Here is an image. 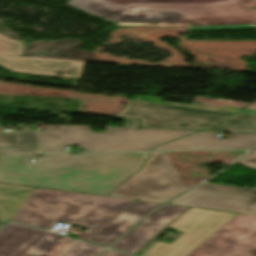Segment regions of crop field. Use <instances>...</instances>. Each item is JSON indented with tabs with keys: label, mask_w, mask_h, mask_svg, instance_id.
Here are the masks:
<instances>
[{
	"label": "crop field",
	"mask_w": 256,
	"mask_h": 256,
	"mask_svg": "<svg viewBox=\"0 0 256 256\" xmlns=\"http://www.w3.org/2000/svg\"><path fill=\"white\" fill-rule=\"evenodd\" d=\"M114 26L190 30L256 28V0H70Z\"/></svg>",
	"instance_id": "8a807250"
},
{
	"label": "crop field",
	"mask_w": 256,
	"mask_h": 256,
	"mask_svg": "<svg viewBox=\"0 0 256 256\" xmlns=\"http://www.w3.org/2000/svg\"><path fill=\"white\" fill-rule=\"evenodd\" d=\"M148 154L39 153L36 163H28L26 158L34 157L36 153H2L0 171L118 185L139 170Z\"/></svg>",
	"instance_id": "ac0d7876"
},
{
	"label": "crop field",
	"mask_w": 256,
	"mask_h": 256,
	"mask_svg": "<svg viewBox=\"0 0 256 256\" xmlns=\"http://www.w3.org/2000/svg\"><path fill=\"white\" fill-rule=\"evenodd\" d=\"M134 200L78 194L35 188L11 220L40 228H50L58 221L84 227L88 241L126 210Z\"/></svg>",
	"instance_id": "34b2d1b8"
},
{
	"label": "crop field",
	"mask_w": 256,
	"mask_h": 256,
	"mask_svg": "<svg viewBox=\"0 0 256 256\" xmlns=\"http://www.w3.org/2000/svg\"><path fill=\"white\" fill-rule=\"evenodd\" d=\"M78 240L10 222L0 230V256H61ZM105 248L79 242L65 256H97Z\"/></svg>",
	"instance_id": "412701ff"
},
{
	"label": "crop field",
	"mask_w": 256,
	"mask_h": 256,
	"mask_svg": "<svg viewBox=\"0 0 256 256\" xmlns=\"http://www.w3.org/2000/svg\"><path fill=\"white\" fill-rule=\"evenodd\" d=\"M233 114L130 100L114 117L141 119L140 128L200 131Z\"/></svg>",
	"instance_id": "f4fd0767"
},
{
	"label": "crop field",
	"mask_w": 256,
	"mask_h": 256,
	"mask_svg": "<svg viewBox=\"0 0 256 256\" xmlns=\"http://www.w3.org/2000/svg\"><path fill=\"white\" fill-rule=\"evenodd\" d=\"M234 215L188 208L167 226L184 233L170 244L159 242L142 256H187Z\"/></svg>",
	"instance_id": "dd49c442"
},
{
	"label": "crop field",
	"mask_w": 256,
	"mask_h": 256,
	"mask_svg": "<svg viewBox=\"0 0 256 256\" xmlns=\"http://www.w3.org/2000/svg\"><path fill=\"white\" fill-rule=\"evenodd\" d=\"M250 191L204 183L169 204L256 214V196Z\"/></svg>",
	"instance_id": "e52e79f7"
},
{
	"label": "crop field",
	"mask_w": 256,
	"mask_h": 256,
	"mask_svg": "<svg viewBox=\"0 0 256 256\" xmlns=\"http://www.w3.org/2000/svg\"><path fill=\"white\" fill-rule=\"evenodd\" d=\"M191 131L107 127V145H82L89 151L151 150L161 143L191 134Z\"/></svg>",
	"instance_id": "d8731c3e"
},
{
	"label": "crop field",
	"mask_w": 256,
	"mask_h": 256,
	"mask_svg": "<svg viewBox=\"0 0 256 256\" xmlns=\"http://www.w3.org/2000/svg\"><path fill=\"white\" fill-rule=\"evenodd\" d=\"M166 153L152 152L144 167L121 185L177 193L189 189L181 184L179 174L171 166Z\"/></svg>",
	"instance_id": "5a996713"
},
{
	"label": "crop field",
	"mask_w": 256,
	"mask_h": 256,
	"mask_svg": "<svg viewBox=\"0 0 256 256\" xmlns=\"http://www.w3.org/2000/svg\"><path fill=\"white\" fill-rule=\"evenodd\" d=\"M85 62L1 56L0 66L18 73L80 79Z\"/></svg>",
	"instance_id": "3316defc"
},
{
	"label": "crop field",
	"mask_w": 256,
	"mask_h": 256,
	"mask_svg": "<svg viewBox=\"0 0 256 256\" xmlns=\"http://www.w3.org/2000/svg\"><path fill=\"white\" fill-rule=\"evenodd\" d=\"M186 209V207L163 206L130 231L112 248L134 254Z\"/></svg>",
	"instance_id": "28ad6ade"
},
{
	"label": "crop field",
	"mask_w": 256,
	"mask_h": 256,
	"mask_svg": "<svg viewBox=\"0 0 256 256\" xmlns=\"http://www.w3.org/2000/svg\"><path fill=\"white\" fill-rule=\"evenodd\" d=\"M255 143L256 135L231 134L228 139H216L215 133L199 132L154 150L249 149Z\"/></svg>",
	"instance_id": "d1516ede"
},
{
	"label": "crop field",
	"mask_w": 256,
	"mask_h": 256,
	"mask_svg": "<svg viewBox=\"0 0 256 256\" xmlns=\"http://www.w3.org/2000/svg\"><path fill=\"white\" fill-rule=\"evenodd\" d=\"M0 182L25 186L106 195L113 185L0 172Z\"/></svg>",
	"instance_id": "22f410ed"
},
{
	"label": "crop field",
	"mask_w": 256,
	"mask_h": 256,
	"mask_svg": "<svg viewBox=\"0 0 256 256\" xmlns=\"http://www.w3.org/2000/svg\"><path fill=\"white\" fill-rule=\"evenodd\" d=\"M41 146L107 144L106 133L94 134L89 126L55 125L40 130Z\"/></svg>",
	"instance_id": "cbeb9de0"
},
{
	"label": "crop field",
	"mask_w": 256,
	"mask_h": 256,
	"mask_svg": "<svg viewBox=\"0 0 256 256\" xmlns=\"http://www.w3.org/2000/svg\"><path fill=\"white\" fill-rule=\"evenodd\" d=\"M159 206L158 203L151 202H134L124 213L104 228L89 242L108 246L117 240L122 234L130 229L142 216L150 212L155 207Z\"/></svg>",
	"instance_id": "5142ce71"
},
{
	"label": "crop field",
	"mask_w": 256,
	"mask_h": 256,
	"mask_svg": "<svg viewBox=\"0 0 256 256\" xmlns=\"http://www.w3.org/2000/svg\"><path fill=\"white\" fill-rule=\"evenodd\" d=\"M209 238L256 247V216L236 214Z\"/></svg>",
	"instance_id": "d9b57169"
},
{
	"label": "crop field",
	"mask_w": 256,
	"mask_h": 256,
	"mask_svg": "<svg viewBox=\"0 0 256 256\" xmlns=\"http://www.w3.org/2000/svg\"><path fill=\"white\" fill-rule=\"evenodd\" d=\"M34 188L0 184V221H8Z\"/></svg>",
	"instance_id": "733c2abd"
},
{
	"label": "crop field",
	"mask_w": 256,
	"mask_h": 256,
	"mask_svg": "<svg viewBox=\"0 0 256 256\" xmlns=\"http://www.w3.org/2000/svg\"><path fill=\"white\" fill-rule=\"evenodd\" d=\"M188 256H256V248L207 239Z\"/></svg>",
	"instance_id": "4a817a6b"
},
{
	"label": "crop field",
	"mask_w": 256,
	"mask_h": 256,
	"mask_svg": "<svg viewBox=\"0 0 256 256\" xmlns=\"http://www.w3.org/2000/svg\"><path fill=\"white\" fill-rule=\"evenodd\" d=\"M109 195L115 196V197H121V198L134 199V200L163 203L166 200H168L178 194L119 186L117 189H115Z\"/></svg>",
	"instance_id": "bc2a9ffb"
},
{
	"label": "crop field",
	"mask_w": 256,
	"mask_h": 256,
	"mask_svg": "<svg viewBox=\"0 0 256 256\" xmlns=\"http://www.w3.org/2000/svg\"><path fill=\"white\" fill-rule=\"evenodd\" d=\"M205 131L256 134V116L236 114L222 124Z\"/></svg>",
	"instance_id": "214f88e0"
},
{
	"label": "crop field",
	"mask_w": 256,
	"mask_h": 256,
	"mask_svg": "<svg viewBox=\"0 0 256 256\" xmlns=\"http://www.w3.org/2000/svg\"><path fill=\"white\" fill-rule=\"evenodd\" d=\"M37 146V131L0 134V147Z\"/></svg>",
	"instance_id": "92a150f3"
},
{
	"label": "crop field",
	"mask_w": 256,
	"mask_h": 256,
	"mask_svg": "<svg viewBox=\"0 0 256 256\" xmlns=\"http://www.w3.org/2000/svg\"><path fill=\"white\" fill-rule=\"evenodd\" d=\"M25 41L10 40L0 35V54L20 56Z\"/></svg>",
	"instance_id": "dafd665d"
},
{
	"label": "crop field",
	"mask_w": 256,
	"mask_h": 256,
	"mask_svg": "<svg viewBox=\"0 0 256 256\" xmlns=\"http://www.w3.org/2000/svg\"><path fill=\"white\" fill-rule=\"evenodd\" d=\"M193 102L243 108L250 102L194 96Z\"/></svg>",
	"instance_id": "00972430"
},
{
	"label": "crop field",
	"mask_w": 256,
	"mask_h": 256,
	"mask_svg": "<svg viewBox=\"0 0 256 256\" xmlns=\"http://www.w3.org/2000/svg\"><path fill=\"white\" fill-rule=\"evenodd\" d=\"M238 164L256 168V148L243 157Z\"/></svg>",
	"instance_id": "a9b5d70f"
},
{
	"label": "crop field",
	"mask_w": 256,
	"mask_h": 256,
	"mask_svg": "<svg viewBox=\"0 0 256 256\" xmlns=\"http://www.w3.org/2000/svg\"><path fill=\"white\" fill-rule=\"evenodd\" d=\"M3 152H25V151H37V147H24V148H0Z\"/></svg>",
	"instance_id": "4177f3b9"
},
{
	"label": "crop field",
	"mask_w": 256,
	"mask_h": 256,
	"mask_svg": "<svg viewBox=\"0 0 256 256\" xmlns=\"http://www.w3.org/2000/svg\"><path fill=\"white\" fill-rule=\"evenodd\" d=\"M157 240L152 239L150 242H148L144 247H142L138 252L135 253V255L140 256L143 252H145L149 247H151Z\"/></svg>",
	"instance_id": "730fd06b"
},
{
	"label": "crop field",
	"mask_w": 256,
	"mask_h": 256,
	"mask_svg": "<svg viewBox=\"0 0 256 256\" xmlns=\"http://www.w3.org/2000/svg\"><path fill=\"white\" fill-rule=\"evenodd\" d=\"M66 146L41 147V151H64Z\"/></svg>",
	"instance_id": "eef30255"
},
{
	"label": "crop field",
	"mask_w": 256,
	"mask_h": 256,
	"mask_svg": "<svg viewBox=\"0 0 256 256\" xmlns=\"http://www.w3.org/2000/svg\"><path fill=\"white\" fill-rule=\"evenodd\" d=\"M102 256H129L115 251H107Z\"/></svg>",
	"instance_id": "ae1a2a85"
},
{
	"label": "crop field",
	"mask_w": 256,
	"mask_h": 256,
	"mask_svg": "<svg viewBox=\"0 0 256 256\" xmlns=\"http://www.w3.org/2000/svg\"><path fill=\"white\" fill-rule=\"evenodd\" d=\"M247 108L248 109H256V102L251 104V105H249Z\"/></svg>",
	"instance_id": "d3111659"
},
{
	"label": "crop field",
	"mask_w": 256,
	"mask_h": 256,
	"mask_svg": "<svg viewBox=\"0 0 256 256\" xmlns=\"http://www.w3.org/2000/svg\"><path fill=\"white\" fill-rule=\"evenodd\" d=\"M251 195H256V189H252Z\"/></svg>",
	"instance_id": "750c4746"
},
{
	"label": "crop field",
	"mask_w": 256,
	"mask_h": 256,
	"mask_svg": "<svg viewBox=\"0 0 256 256\" xmlns=\"http://www.w3.org/2000/svg\"><path fill=\"white\" fill-rule=\"evenodd\" d=\"M3 224H5V223H4V222H0V227H1Z\"/></svg>",
	"instance_id": "bd1437ed"
}]
</instances>
